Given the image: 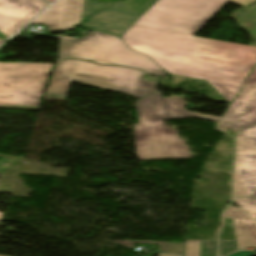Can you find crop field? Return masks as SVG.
Segmentation results:
<instances>
[{"mask_svg":"<svg viewBox=\"0 0 256 256\" xmlns=\"http://www.w3.org/2000/svg\"><path fill=\"white\" fill-rule=\"evenodd\" d=\"M187 103L176 97L163 98L159 93L137 102L140 124L134 125L137 158L140 160L191 158L189 147L178 138L176 130L163 126V119L197 117L220 121L221 118L192 113Z\"/></svg>","mask_w":256,"mask_h":256,"instance_id":"2","label":"crop field"},{"mask_svg":"<svg viewBox=\"0 0 256 256\" xmlns=\"http://www.w3.org/2000/svg\"><path fill=\"white\" fill-rule=\"evenodd\" d=\"M224 217L233 218L239 249L256 248V223L240 208L230 206Z\"/></svg>","mask_w":256,"mask_h":256,"instance_id":"11","label":"crop field"},{"mask_svg":"<svg viewBox=\"0 0 256 256\" xmlns=\"http://www.w3.org/2000/svg\"><path fill=\"white\" fill-rule=\"evenodd\" d=\"M256 197V125L236 134L233 197ZM256 222V199H233Z\"/></svg>","mask_w":256,"mask_h":256,"instance_id":"6","label":"crop field"},{"mask_svg":"<svg viewBox=\"0 0 256 256\" xmlns=\"http://www.w3.org/2000/svg\"><path fill=\"white\" fill-rule=\"evenodd\" d=\"M256 124V68L237 99L219 124L225 132L229 126L235 133Z\"/></svg>","mask_w":256,"mask_h":256,"instance_id":"7","label":"crop field"},{"mask_svg":"<svg viewBox=\"0 0 256 256\" xmlns=\"http://www.w3.org/2000/svg\"><path fill=\"white\" fill-rule=\"evenodd\" d=\"M0 42H2V41L0 40Z\"/></svg>","mask_w":256,"mask_h":256,"instance_id":"25","label":"crop field"},{"mask_svg":"<svg viewBox=\"0 0 256 256\" xmlns=\"http://www.w3.org/2000/svg\"><path fill=\"white\" fill-rule=\"evenodd\" d=\"M201 241H187L185 256H199Z\"/></svg>","mask_w":256,"mask_h":256,"instance_id":"15","label":"crop field"},{"mask_svg":"<svg viewBox=\"0 0 256 256\" xmlns=\"http://www.w3.org/2000/svg\"><path fill=\"white\" fill-rule=\"evenodd\" d=\"M6 160H7V158H2V159H0V172H2L3 170H5L7 167H4V166H2L4 163H7L6 162ZM9 160V159H8ZM9 161H11V160H9ZM8 161V162H9ZM1 174V173H0Z\"/></svg>","mask_w":256,"mask_h":256,"instance_id":"20","label":"crop field"},{"mask_svg":"<svg viewBox=\"0 0 256 256\" xmlns=\"http://www.w3.org/2000/svg\"><path fill=\"white\" fill-rule=\"evenodd\" d=\"M239 58L254 61L253 64L249 68V70H252L253 66L256 63V47L246 46V48L241 53Z\"/></svg>","mask_w":256,"mask_h":256,"instance_id":"16","label":"crop field"},{"mask_svg":"<svg viewBox=\"0 0 256 256\" xmlns=\"http://www.w3.org/2000/svg\"><path fill=\"white\" fill-rule=\"evenodd\" d=\"M140 70L99 66L92 62L68 59L57 61L45 98L64 99L71 81L143 98L155 92L157 82L143 80Z\"/></svg>","mask_w":256,"mask_h":256,"instance_id":"3","label":"crop field"},{"mask_svg":"<svg viewBox=\"0 0 256 256\" xmlns=\"http://www.w3.org/2000/svg\"><path fill=\"white\" fill-rule=\"evenodd\" d=\"M200 256H217L216 241H202Z\"/></svg>","mask_w":256,"mask_h":256,"instance_id":"14","label":"crop field"},{"mask_svg":"<svg viewBox=\"0 0 256 256\" xmlns=\"http://www.w3.org/2000/svg\"><path fill=\"white\" fill-rule=\"evenodd\" d=\"M158 256H177V255L158 254Z\"/></svg>","mask_w":256,"mask_h":256,"instance_id":"22","label":"crop field"},{"mask_svg":"<svg viewBox=\"0 0 256 256\" xmlns=\"http://www.w3.org/2000/svg\"><path fill=\"white\" fill-rule=\"evenodd\" d=\"M230 256H256V251L237 252Z\"/></svg>","mask_w":256,"mask_h":256,"instance_id":"19","label":"crop field"},{"mask_svg":"<svg viewBox=\"0 0 256 256\" xmlns=\"http://www.w3.org/2000/svg\"><path fill=\"white\" fill-rule=\"evenodd\" d=\"M3 214L0 213V219L2 218Z\"/></svg>","mask_w":256,"mask_h":256,"instance_id":"23","label":"crop field"},{"mask_svg":"<svg viewBox=\"0 0 256 256\" xmlns=\"http://www.w3.org/2000/svg\"><path fill=\"white\" fill-rule=\"evenodd\" d=\"M109 4L110 3H93V0H84L82 21L88 18L93 11L107 8Z\"/></svg>","mask_w":256,"mask_h":256,"instance_id":"13","label":"crop field"},{"mask_svg":"<svg viewBox=\"0 0 256 256\" xmlns=\"http://www.w3.org/2000/svg\"><path fill=\"white\" fill-rule=\"evenodd\" d=\"M52 65L0 62V108L38 110Z\"/></svg>","mask_w":256,"mask_h":256,"instance_id":"5","label":"crop field"},{"mask_svg":"<svg viewBox=\"0 0 256 256\" xmlns=\"http://www.w3.org/2000/svg\"><path fill=\"white\" fill-rule=\"evenodd\" d=\"M256 2V0H230L229 3L241 6V7H248L252 3Z\"/></svg>","mask_w":256,"mask_h":256,"instance_id":"18","label":"crop field"},{"mask_svg":"<svg viewBox=\"0 0 256 256\" xmlns=\"http://www.w3.org/2000/svg\"><path fill=\"white\" fill-rule=\"evenodd\" d=\"M157 1L158 0H124L133 12L141 15H143Z\"/></svg>","mask_w":256,"mask_h":256,"instance_id":"12","label":"crop field"},{"mask_svg":"<svg viewBox=\"0 0 256 256\" xmlns=\"http://www.w3.org/2000/svg\"><path fill=\"white\" fill-rule=\"evenodd\" d=\"M227 85V84H226ZM229 88H231L236 94H237V92H238V90H239V88L241 87V86H232V85H227Z\"/></svg>","mask_w":256,"mask_h":256,"instance_id":"21","label":"crop field"},{"mask_svg":"<svg viewBox=\"0 0 256 256\" xmlns=\"http://www.w3.org/2000/svg\"><path fill=\"white\" fill-rule=\"evenodd\" d=\"M66 57L93 60L102 65L129 66L149 74L166 75L152 59L126 47L121 39L96 31L77 40L61 38L58 60Z\"/></svg>","mask_w":256,"mask_h":256,"instance_id":"4","label":"crop field"},{"mask_svg":"<svg viewBox=\"0 0 256 256\" xmlns=\"http://www.w3.org/2000/svg\"><path fill=\"white\" fill-rule=\"evenodd\" d=\"M83 0H60L31 24L50 25V31L66 30L80 22Z\"/></svg>","mask_w":256,"mask_h":256,"instance_id":"10","label":"crop field"},{"mask_svg":"<svg viewBox=\"0 0 256 256\" xmlns=\"http://www.w3.org/2000/svg\"><path fill=\"white\" fill-rule=\"evenodd\" d=\"M221 253L220 256L237 250L236 241H220Z\"/></svg>","mask_w":256,"mask_h":256,"instance_id":"17","label":"crop field"},{"mask_svg":"<svg viewBox=\"0 0 256 256\" xmlns=\"http://www.w3.org/2000/svg\"><path fill=\"white\" fill-rule=\"evenodd\" d=\"M228 1L159 0L121 39L168 73L207 80L231 102L236 94L224 83L241 85L250 73L252 62L237 59L245 46L192 36Z\"/></svg>","mask_w":256,"mask_h":256,"instance_id":"1","label":"crop field"},{"mask_svg":"<svg viewBox=\"0 0 256 256\" xmlns=\"http://www.w3.org/2000/svg\"><path fill=\"white\" fill-rule=\"evenodd\" d=\"M47 6L44 0H0V39L10 37Z\"/></svg>","mask_w":256,"mask_h":256,"instance_id":"8","label":"crop field"},{"mask_svg":"<svg viewBox=\"0 0 256 256\" xmlns=\"http://www.w3.org/2000/svg\"><path fill=\"white\" fill-rule=\"evenodd\" d=\"M47 1H49V2H53L54 0H47Z\"/></svg>","mask_w":256,"mask_h":256,"instance_id":"24","label":"crop field"},{"mask_svg":"<svg viewBox=\"0 0 256 256\" xmlns=\"http://www.w3.org/2000/svg\"><path fill=\"white\" fill-rule=\"evenodd\" d=\"M140 17L141 15L133 13L124 2L113 3L107 10L93 13L92 17L80 26L122 35Z\"/></svg>","mask_w":256,"mask_h":256,"instance_id":"9","label":"crop field"}]
</instances>
